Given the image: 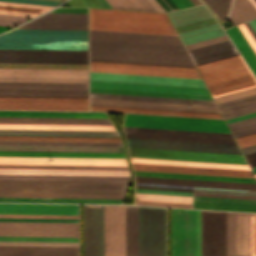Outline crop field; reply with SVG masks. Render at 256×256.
<instances>
[{
    "instance_id": "crop-field-1",
    "label": "crop field",
    "mask_w": 256,
    "mask_h": 256,
    "mask_svg": "<svg viewBox=\"0 0 256 256\" xmlns=\"http://www.w3.org/2000/svg\"><path fill=\"white\" fill-rule=\"evenodd\" d=\"M90 60L194 67L176 44L90 39Z\"/></svg>"
},
{
    "instance_id": "crop-field-2",
    "label": "crop field",
    "mask_w": 256,
    "mask_h": 256,
    "mask_svg": "<svg viewBox=\"0 0 256 256\" xmlns=\"http://www.w3.org/2000/svg\"><path fill=\"white\" fill-rule=\"evenodd\" d=\"M0 49L87 50V31L13 29L0 35Z\"/></svg>"
},
{
    "instance_id": "crop-field-3",
    "label": "crop field",
    "mask_w": 256,
    "mask_h": 256,
    "mask_svg": "<svg viewBox=\"0 0 256 256\" xmlns=\"http://www.w3.org/2000/svg\"><path fill=\"white\" fill-rule=\"evenodd\" d=\"M90 29L177 34L167 14L90 9Z\"/></svg>"
},
{
    "instance_id": "crop-field-4",
    "label": "crop field",
    "mask_w": 256,
    "mask_h": 256,
    "mask_svg": "<svg viewBox=\"0 0 256 256\" xmlns=\"http://www.w3.org/2000/svg\"><path fill=\"white\" fill-rule=\"evenodd\" d=\"M131 157L247 164L243 155L128 148ZM133 158L132 163L250 170L248 165Z\"/></svg>"
},
{
    "instance_id": "crop-field-5",
    "label": "crop field",
    "mask_w": 256,
    "mask_h": 256,
    "mask_svg": "<svg viewBox=\"0 0 256 256\" xmlns=\"http://www.w3.org/2000/svg\"><path fill=\"white\" fill-rule=\"evenodd\" d=\"M197 68L212 97L256 86L255 78L240 55L198 65Z\"/></svg>"
},
{
    "instance_id": "crop-field-6",
    "label": "crop field",
    "mask_w": 256,
    "mask_h": 256,
    "mask_svg": "<svg viewBox=\"0 0 256 256\" xmlns=\"http://www.w3.org/2000/svg\"><path fill=\"white\" fill-rule=\"evenodd\" d=\"M139 256H166L165 208L138 207Z\"/></svg>"
},
{
    "instance_id": "crop-field-7",
    "label": "crop field",
    "mask_w": 256,
    "mask_h": 256,
    "mask_svg": "<svg viewBox=\"0 0 256 256\" xmlns=\"http://www.w3.org/2000/svg\"><path fill=\"white\" fill-rule=\"evenodd\" d=\"M124 126L230 133L223 120L126 114Z\"/></svg>"
},
{
    "instance_id": "crop-field-8",
    "label": "crop field",
    "mask_w": 256,
    "mask_h": 256,
    "mask_svg": "<svg viewBox=\"0 0 256 256\" xmlns=\"http://www.w3.org/2000/svg\"><path fill=\"white\" fill-rule=\"evenodd\" d=\"M227 256H256V214L227 212Z\"/></svg>"
},
{
    "instance_id": "crop-field-9",
    "label": "crop field",
    "mask_w": 256,
    "mask_h": 256,
    "mask_svg": "<svg viewBox=\"0 0 256 256\" xmlns=\"http://www.w3.org/2000/svg\"><path fill=\"white\" fill-rule=\"evenodd\" d=\"M0 236L78 237V223L0 222Z\"/></svg>"
},
{
    "instance_id": "crop-field-10",
    "label": "crop field",
    "mask_w": 256,
    "mask_h": 256,
    "mask_svg": "<svg viewBox=\"0 0 256 256\" xmlns=\"http://www.w3.org/2000/svg\"><path fill=\"white\" fill-rule=\"evenodd\" d=\"M172 256H196L195 210L172 209Z\"/></svg>"
},
{
    "instance_id": "crop-field-11",
    "label": "crop field",
    "mask_w": 256,
    "mask_h": 256,
    "mask_svg": "<svg viewBox=\"0 0 256 256\" xmlns=\"http://www.w3.org/2000/svg\"><path fill=\"white\" fill-rule=\"evenodd\" d=\"M104 256H125V206L104 205Z\"/></svg>"
},
{
    "instance_id": "crop-field-12",
    "label": "crop field",
    "mask_w": 256,
    "mask_h": 256,
    "mask_svg": "<svg viewBox=\"0 0 256 256\" xmlns=\"http://www.w3.org/2000/svg\"><path fill=\"white\" fill-rule=\"evenodd\" d=\"M0 109L88 110V98L0 97Z\"/></svg>"
},
{
    "instance_id": "crop-field-13",
    "label": "crop field",
    "mask_w": 256,
    "mask_h": 256,
    "mask_svg": "<svg viewBox=\"0 0 256 256\" xmlns=\"http://www.w3.org/2000/svg\"><path fill=\"white\" fill-rule=\"evenodd\" d=\"M0 81L88 82V70L0 69Z\"/></svg>"
},
{
    "instance_id": "crop-field-14",
    "label": "crop field",
    "mask_w": 256,
    "mask_h": 256,
    "mask_svg": "<svg viewBox=\"0 0 256 256\" xmlns=\"http://www.w3.org/2000/svg\"><path fill=\"white\" fill-rule=\"evenodd\" d=\"M124 130L126 137L236 144L231 134L131 127Z\"/></svg>"
},
{
    "instance_id": "crop-field-15",
    "label": "crop field",
    "mask_w": 256,
    "mask_h": 256,
    "mask_svg": "<svg viewBox=\"0 0 256 256\" xmlns=\"http://www.w3.org/2000/svg\"><path fill=\"white\" fill-rule=\"evenodd\" d=\"M126 140H127L128 147H136V148L242 154L238 145L133 139V138H126Z\"/></svg>"
},
{
    "instance_id": "crop-field-16",
    "label": "crop field",
    "mask_w": 256,
    "mask_h": 256,
    "mask_svg": "<svg viewBox=\"0 0 256 256\" xmlns=\"http://www.w3.org/2000/svg\"><path fill=\"white\" fill-rule=\"evenodd\" d=\"M84 256H103V205H84Z\"/></svg>"
},
{
    "instance_id": "crop-field-17",
    "label": "crop field",
    "mask_w": 256,
    "mask_h": 256,
    "mask_svg": "<svg viewBox=\"0 0 256 256\" xmlns=\"http://www.w3.org/2000/svg\"><path fill=\"white\" fill-rule=\"evenodd\" d=\"M90 80L206 88L202 79L193 78L90 72Z\"/></svg>"
},
{
    "instance_id": "crop-field-18",
    "label": "crop field",
    "mask_w": 256,
    "mask_h": 256,
    "mask_svg": "<svg viewBox=\"0 0 256 256\" xmlns=\"http://www.w3.org/2000/svg\"><path fill=\"white\" fill-rule=\"evenodd\" d=\"M90 105L220 113L217 106H209V105H193V104H177V103H161V102H145V101H129V100H113V99H97V98H90ZM189 105L190 107H188Z\"/></svg>"
},
{
    "instance_id": "crop-field-19",
    "label": "crop field",
    "mask_w": 256,
    "mask_h": 256,
    "mask_svg": "<svg viewBox=\"0 0 256 256\" xmlns=\"http://www.w3.org/2000/svg\"><path fill=\"white\" fill-rule=\"evenodd\" d=\"M136 188L256 195V189H253V188L221 187V186L143 182V181H136Z\"/></svg>"
},
{
    "instance_id": "crop-field-20",
    "label": "crop field",
    "mask_w": 256,
    "mask_h": 256,
    "mask_svg": "<svg viewBox=\"0 0 256 256\" xmlns=\"http://www.w3.org/2000/svg\"><path fill=\"white\" fill-rule=\"evenodd\" d=\"M0 214L78 215V205L0 204Z\"/></svg>"
},
{
    "instance_id": "crop-field-21",
    "label": "crop field",
    "mask_w": 256,
    "mask_h": 256,
    "mask_svg": "<svg viewBox=\"0 0 256 256\" xmlns=\"http://www.w3.org/2000/svg\"><path fill=\"white\" fill-rule=\"evenodd\" d=\"M90 38L182 44L178 35L90 30Z\"/></svg>"
},
{
    "instance_id": "crop-field-22",
    "label": "crop field",
    "mask_w": 256,
    "mask_h": 256,
    "mask_svg": "<svg viewBox=\"0 0 256 256\" xmlns=\"http://www.w3.org/2000/svg\"><path fill=\"white\" fill-rule=\"evenodd\" d=\"M0 135L119 137V135L116 133V131H82V130H14V129H0Z\"/></svg>"
},
{
    "instance_id": "crop-field-23",
    "label": "crop field",
    "mask_w": 256,
    "mask_h": 256,
    "mask_svg": "<svg viewBox=\"0 0 256 256\" xmlns=\"http://www.w3.org/2000/svg\"><path fill=\"white\" fill-rule=\"evenodd\" d=\"M238 28L240 29V31L242 32V34L244 35V37L246 38L254 52L256 53V41L254 40V38L244 25V23L238 25ZM238 28L237 26H235L231 29H228L226 32L233 40L238 50L240 51V53L242 54V56L244 57V59L254 72V74L256 75V55Z\"/></svg>"
},
{
    "instance_id": "crop-field-24",
    "label": "crop field",
    "mask_w": 256,
    "mask_h": 256,
    "mask_svg": "<svg viewBox=\"0 0 256 256\" xmlns=\"http://www.w3.org/2000/svg\"><path fill=\"white\" fill-rule=\"evenodd\" d=\"M132 165H133L134 170H144V171H161V172H178V173H195V174L254 177L252 171H243V170L191 168V167H174V166H157V165H140V164H132Z\"/></svg>"
},
{
    "instance_id": "crop-field-25",
    "label": "crop field",
    "mask_w": 256,
    "mask_h": 256,
    "mask_svg": "<svg viewBox=\"0 0 256 256\" xmlns=\"http://www.w3.org/2000/svg\"><path fill=\"white\" fill-rule=\"evenodd\" d=\"M90 87L209 95L207 89L90 81Z\"/></svg>"
},
{
    "instance_id": "crop-field-26",
    "label": "crop field",
    "mask_w": 256,
    "mask_h": 256,
    "mask_svg": "<svg viewBox=\"0 0 256 256\" xmlns=\"http://www.w3.org/2000/svg\"><path fill=\"white\" fill-rule=\"evenodd\" d=\"M189 53L195 65L239 54L231 40L189 50Z\"/></svg>"
},
{
    "instance_id": "crop-field-27",
    "label": "crop field",
    "mask_w": 256,
    "mask_h": 256,
    "mask_svg": "<svg viewBox=\"0 0 256 256\" xmlns=\"http://www.w3.org/2000/svg\"><path fill=\"white\" fill-rule=\"evenodd\" d=\"M0 57L88 59L87 51L0 50Z\"/></svg>"
},
{
    "instance_id": "crop-field-28",
    "label": "crop field",
    "mask_w": 256,
    "mask_h": 256,
    "mask_svg": "<svg viewBox=\"0 0 256 256\" xmlns=\"http://www.w3.org/2000/svg\"><path fill=\"white\" fill-rule=\"evenodd\" d=\"M0 150L123 152L122 147L51 146V145H4V144H0Z\"/></svg>"
},
{
    "instance_id": "crop-field-29",
    "label": "crop field",
    "mask_w": 256,
    "mask_h": 256,
    "mask_svg": "<svg viewBox=\"0 0 256 256\" xmlns=\"http://www.w3.org/2000/svg\"><path fill=\"white\" fill-rule=\"evenodd\" d=\"M0 179H6V180H56V181H105V182H129L130 181L129 177L6 175V174H0Z\"/></svg>"
},
{
    "instance_id": "crop-field-30",
    "label": "crop field",
    "mask_w": 256,
    "mask_h": 256,
    "mask_svg": "<svg viewBox=\"0 0 256 256\" xmlns=\"http://www.w3.org/2000/svg\"><path fill=\"white\" fill-rule=\"evenodd\" d=\"M0 173L129 176L128 171H104V170H55V169H6V168H0Z\"/></svg>"
},
{
    "instance_id": "crop-field-31",
    "label": "crop field",
    "mask_w": 256,
    "mask_h": 256,
    "mask_svg": "<svg viewBox=\"0 0 256 256\" xmlns=\"http://www.w3.org/2000/svg\"><path fill=\"white\" fill-rule=\"evenodd\" d=\"M0 96L88 97V90L0 89Z\"/></svg>"
},
{
    "instance_id": "crop-field-32",
    "label": "crop field",
    "mask_w": 256,
    "mask_h": 256,
    "mask_svg": "<svg viewBox=\"0 0 256 256\" xmlns=\"http://www.w3.org/2000/svg\"><path fill=\"white\" fill-rule=\"evenodd\" d=\"M174 27L212 18L204 5H198L179 11L168 13Z\"/></svg>"
},
{
    "instance_id": "crop-field-33",
    "label": "crop field",
    "mask_w": 256,
    "mask_h": 256,
    "mask_svg": "<svg viewBox=\"0 0 256 256\" xmlns=\"http://www.w3.org/2000/svg\"><path fill=\"white\" fill-rule=\"evenodd\" d=\"M126 256H138L137 207L126 206Z\"/></svg>"
},
{
    "instance_id": "crop-field-34",
    "label": "crop field",
    "mask_w": 256,
    "mask_h": 256,
    "mask_svg": "<svg viewBox=\"0 0 256 256\" xmlns=\"http://www.w3.org/2000/svg\"><path fill=\"white\" fill-rule=\"evenodd\" d=\"M0 155H6V156H54V157L125 158L123 153H88V152H17V151H0Z\"/></svg>"
},
{
    "instance_id": "crop-field-35",
    "label": "crop field",
    "mask_w": 256,
    "mask_h": 256,
    "mask_svg": "<svg viewBox=\"0 0 256 256\" xmlns=\"http://www.w3.org/2000/svg\"><path fill=\"white\" fill-rule=\"evenodd\" d=\"M223 118L256 110V94L217 105Z\"/></svg>"
},
{
    "instance_id": "crop-field-36",
    "label": "crop field",
    "mask_w": 256,
    "mask_h": 256,
    "mask_svg": "<svg viewBox=\"0 0 256 256\" xmlns=\"http://www.w3.org/2000/svg\"><path fill=\"white\" fill-rule=\"evenodd\" d=\"M54 7L0 2V14L36 17Z\"/></svg>"
},
{
    "instance_id": "crop-field-37",
    "label": "crop field",
    "mask_w": 256,
    "mask_h": 256,
    "mask_svg": "<svg viewBox=\"0 0 256 256\" xmlns=\"http://www.w3.org/2000/svg\"><path fill=\"white\" fill-rule=\"evenodd\" d=\"M90 71L201 78L199 73L113 68V67L90 66Z\"/></svg>"
},
{
    "instance_id": "crop-field-38",
    "label": "crop field",
    "mask_w": 256,
    "mask_h": 256,
    "mask_svg": "<svg viewBox=\"0 0 256 256\" xmlns=\"http://www.w3.org/2000/svg\"><path fill=\"white\" fill-rule=\"evenodd\" d=\"M221 35H225V32L218 23L179 33L184 45Z\"/></svg>"
},
{
    "instance_id": "crop-field-39",
    "label": "crop field",
    "mask_w": 256,
    "mask_h": 256,
    "mask_svg": "<svg viewBox=\"0 0 256 256\" xmlns=\"http://www.w3.org/2000/svg\"><path fill=\"white\" fill-rule=\"evenodd\" d=\"M134 173H135V175H144V176H159V177H174V178H189V179H203V180H218V181L256 183L255 178H245V177H228V176H211V175H194V174H177V173H160V172H142V171H134Z\"/></svg>"
},
{
    "instance_id": "crop-field-40",
    "label": "crop field",
    "mask_w": 256,
    "mask_h": 256,
    "mask_svg": "<svg viewBox=\"0 0 256 256\" xmlns=\"http://www.w3.org/2000/svg\"><path fill=\"white\" fill-rule=\"evenodd\" d=\"M0 163L6 164H55V165H103V166H127L125 162L107 161H70V160H15L0 159Z\"/></svg>"
},
{
    "instance_id": "crop-field-41",
    "label": "crop field",
    "mask_w": 256,
    "mask_h": 256,
    "mask_svg": "<svg viewBox=\"0 0 256 256\" xmlns=\"http://www.w3.org/2000/svg\"><path fill=\"white\" fill-rule=\"evenodd\" d=\"M0 116L107 118L105 113H73V112H11V111H0Z\"/></svg>"
},
{
    "instance_id": "crop-field-42",
    "label": "crop field",
    "mask_w": 256,
    "mask_h": 256,
    "mask_svg": "<svg viewBox=\"0 0 256 256\" xmlns=\"http://www.w3.org/2000/svg\"><path fill=\"white\" fill-rule=\"evenodd\" d=\"M90 110L222 118L221 114L90 106Z\"/></svg>"
},
{
    "instance_id": "crop-field-43",
    "label": "crop field",
    "mask_w": 256,
    "mask_h": 256,
    "mask_svg": "<svg viewBox=\"0 0 256 256\" xmlns=\"http://www.w3.org/2000/svg\"><path fill=\"white\" fill-rule=\"evenodd\" d=\"M0 201H16V202H86V203H121L122 199H87V198H17V197H0Z\"/></svg>"
},
{
    "instance_id": "crop-field-44",
    "label": "crop field",
    "mask_w": 256,
    "mask_h": 256,
    "mask_svg": "<svg viewBox=\"0 0 256 256\" xmlns=\"http://www.w3.org/2000/svg\"><path fill=\"white\" fill-rule=\"evenodd\" d=\"M256 17V10L248 0H234L229 21L233 26Z\"/></svg>"
},
{
    "instance_id": "crop-field-45",
    "label": "crop field",
    "mask_w": 256,
    "mask_h": 256,
    "mask_svg": "<svg viewBox=\"0 0 256 256\" xmlns=\"http://www.w3.org/2000/svg\"><path fill=\"white\" fill-rule=\"evenodd\" d=\"M30 22L87 24V14L46 13Z\"/></svg>"
},
{
    "instance_id": "crop-field-46",
    "label": "crop field",
    "mask_w": 256,
    "mask_h": 256,
    "mask_svg": "<svg viewBox=\"0 0 256 256\" xmlns=\"http://www.w3.org/2000/svg\"><path fill=\"white\" fill-rule=\"evenodd\" d=\"M90 92L212 100L211 96L90 88Z\"/></svg>"
},
{
    "instance_id": "crop-field-47",
    "label": "crop field",
    "mask_w": 256,
    "mask_h": 256,
    "mask_svg": "<svg viewBox=\"0 0 256 256\" xmlns=\"http://www.w3.org/2000/svg\"><path fill=\"white\" fill-rule=\"evenodd\" d=\"M0 128L114 130L113 126H79V125H13V124H0Z\"/></svg>"
},
{
    "instance_id": "crop-field-48",
    "label": "crop field",
    "mask_w": 256,
    "mask_h": 256,
    "mask_svg": "<svg viewBox=\"0 0 256 256\" xmlns=\"http://www.w3.org/2000/svg\"><path fill=\"white\" fill-rule=\"evenodd\" d=\"M4 140H51V141H98V142H121L120 138H85V137H15L0 136Z\"/></svg>"
},
{
    "instance_id": "crop-field-49",
    "label": "crop field",
    "mask_w": 256,
    "mask_h": 256,
    "mask_svg": "<svg viewBox=\"0 0 256 256\" xmlns=\"http://www.w3.org/2000/svg\"><path fill=\"white\" fill-rule=\"evenodd\" d=\"M194 208L256 212V205L194 201Z\"/></svg>"
},
{
    "instance_id": "crop-field-50",
    "label": "crop field",
    "mask_w": 256,
    "mask_h": 256,
    "mask_svg": "<svg viewBox=\"0 0 256 256\" xmlns=\"http://www.w3.org/2000/svg\"><path fill=\"white\" fill-rule=\"evenodd\" d=\"M90 65L197 72L196 68L90 61Z\"/></svg>"
},
{
    "instance_id": "crop-field-51",
    "label": "crop field",
    "mask_w": 256,
    "mask_h": 256,
    "mask_svg": "<svg viewBox=\"0 0 256 256\" xmlns=\"http://www.w3.org/2000/svg\"><path fill=\"white\" fill-rule=\"evenodd\" d=\"M6 168H55V169H104V170H128L127 167H103V166H54V165H6Z\"/></svg>"
},
{
    "instance_id": "crop-field-52",
    "label": "crop field",
    "mask_w": 256,
    "mask_h": 256,
    "mask_svg": "<svg viewBox=\"0 0 256 256\" xmlns=\"http://www.w3.org/2000/svg\"><path fill=\"white\" fill-rule=\"evenodd\" d=\"M233 135L240 136L252 134L256 132V117L229 123L228 124Z\"/></svg>"
},
{
    "instance_id": "crop-field-53",
    "label": "crop field",
    "mask_w": 256,
    "mask_h": 256,
    "mask_svg": "<svg viewBox=\"0 0 256 256\" xmlns=\"http://www.w3.org/2000/svg\"><path fill=\"white\" fill-rule=\"evenodd\" d=\"M136 200L192 203L191 197L136 193Z\"/></svg>"
},
{
    "instance_id": "crop-field-54",
    "label": "crop field",
    "mask_w": 256,
    "mask_h": 256,
    "mask_svg": "<svg viewBox=\"0 0 256 256\" xmlns=\"http://www.w3.org/2000/svg\"><path fill=\"white\" fill-rule=\"evenodd\" d=\"M0 62L88 64V60L0 58Z\"/></svg>"
},
{
    "instance_id": "crop-field-55",
    "label": "crop field",
    "mask_w": 256,
    "mask_h": 256,
    "mask_svg": "<svg viewBox=\"0 0 256 256\" xmlns=\"http://www.w3.org/2000/svg\"><path fill=\"white\" fill-rule=\"evenodd\" d=\"M108 3L113 8H123V9H137V10H153L155 11L152 6L146 1V0H140L142 4L147 8H145L139 0H135L138 5L142 8H140L134 0H107Z\"/></svg>"
},
{
    "instance_id": "crop-field-56",
    "label": "crop field",
    "mask_w": 256,
    "mask_h": 256,
    "mask_svg": "<svg viewBox=\"0 0 256 256\" xmlns=\"http://www.w3.org/2000/svg\"><path fill=\"white\" fill-rule=\"evenodd\" d=\"M17 28L87 30V25L25 23Z\"/></svg>"
},
{
    "instance_id": "crop-field-57",
    "label": "crop field",
    "mask_w": 256,
    "mask_h": 256,
    "mask_svg": "<svg viewBox=\"0 0 256 256\" xmlns=\"http://www.w3.org/2000/svg\"><path fill=\"white\" fill-rule=\"evenodd\" d=\"M205 1L219 15V17L223 21H225L228 15L232 0H205Z\"/></svg>"
},
{
    "instance_id": "crop-field-58",
    "label": "crop field",
    "mask_w": 256,
    "mask_h": 256,
    "mask_svg": "<svg viewBox=\"0 0 256 256\" xmlns=\"http://www.w3.org/2000/svg\"><path fill=\"white\" fill-rule=\"evenodd\" d=\"M0 241L78 242V238L0 237Z\"/></svg>"
},
{
    "instance_id": "crop-field-59",
    "label": "crop field",
    "mask_w": 256,
    "mask_h": 256,
    "mask_svg": "<svg viewBox=\"0 0 256 256\" xmlns=\"http://www.w3.org/2000/svg\"><path fill=\"white\" fill-rule=\"evenodd\" d=\"M31 18L29 17H19V16H8V15H0V25L1 26H10L15 27L18 24L27 21Z\"/></svg>"
},
{
    "instance_id": "crop-field-60",
    "label": "crop field",
    "mask_w": 256,
    "mask_h": 256,
    "mask_svg": "<svg viewBox=\"0 0 256 256\" xmlns=\"http://www.w3.org/2000/svg\"><path fill=\"white\" fill-rule=\"evenodd\" d=\"M194 200L256 204V200L194 196Z\"/></svg>"
},
{
    "instance_id": "crop-field-61",
    "label": "crop field",
    "mask_w": 256,
    "mask_h": 256,
    "mask_svg": "<svg viewBox=\"0 0 256 256\" xmlns=\"http://www.w3.org/2000/svg\"><path fill=\"white\" fill-rule=\"evenodd\" d=\"M0 221H47V222H78V219H47V218H0Z\"/></svg>"
},
{
    "instance_id": "crop-field-62",
    "label": "crop field",
    "mask_w": 256,
    "mask_h": 256,
    "mask_svg": "<svg viewBox=\"0 0 256 256\" xmlns=\"http://www.w3.org/2000/svg\"><path fill=\"white\" fill-rule=\"evenodd\" d=\"M0 245H47V246H78V243H47V242H0Z\"/></svg>"
},
{
    "instance_id": "crop-field-63",
    "label": "crop field",
    "mask_w": 256,
    "mask_h": 256,
    "mask_svg": "<svg viewBox=\"0 0 256 256\" xmlns=\"http://www.w3.org/2000/svg\"><path fill=\"white\" fill-rule=\"evenodd\" d=\"M0 158H16V159H70V160H107V161H125V159H101V158H53V157H5Z\"/></svg>"
},
{
    "instance_id": "crop-field-64",
    "label": "crop field",
    "mask_w": 256,
    "mask_h": 256,
    "mask_svg": "<svg viewBox=\"0 0 256 256\" xmlns=\"http://www.w3.org/2000/svg\"><path fill=\"white\" fill-rule=\"evenodd\" d=\"M225 40H229L227 35L209 39V40L202 41V42H198V43H194V44H190V45H186V48H187V50H189V49H193V48H197V47H201V46H205V45H209V44H213V43H217V42H221V41H225Z\"/></svg>"
},
{
    "instance_id": "crop-field-65",
    "label": "crop field",
    "mask_w": 256,
    "mask_h": 256,
    "mask_svg": "<svg viewBox=\"0 0 256 256\" xmlns=\"http://www.w3.org/2000/svg\"><path fill=\"white\" fill-rule=\"evenodd\" d=\"M0 1L31 3V4H41V5H51V6H58L60 3H62L58 1H48V0H0Z\"/></svg>"
},
{
    "instance_id": "crop-field-66",
    "label": "crop field",
    "mask_w": 256,
    "mask_h": 256,
    "mask_svg": "<svg viewBox=\"0 0 256 256\" xmlns=\"http://www.w3.org/2000/svg\"><path fill=\"white\" fill-rule=\"evenodd\" d=\"M236 141L239 144L240 148L256 144V134L236 138Z\"/></svg>"
},
{
    "instance_id": "crop-field-67",
    "label": "crop field",
    "mask_w": 256,
    "mask_h": 256,
    "mask_svg": "<svg viewBox=\"0 0 256 256\" xmlns=\"http://www.w3.org/2000/svg\"><path fill=\"white\" fill-rule=\"evenodd\" d=\"M136 192L192 196V192H176V191H160V190H144V189H136Z\"/></svg>"
},
{
    "instance_id": "crop-field-68",
    "label": "crop field",
    "mask_w": 256,
    "mask_h": 256,
    "mask_svg": "<svg viewBox=\"0 0 256 256\" xmlns=\"http://www.w3.org/2000/svg\"><path fill=\"white\" fill-rule=\"evenodd\" d=\"M0 217L78 218V216H54V215H0Z\"/></svg>"
},
{
    "instance_id": "crop-field-69",
    "label": "crop field",
    "mask_w": 256,
    "mask_h": 256,
    "mask_svg": "<svg viewBox=\"0 0 256 256\" xmlns=\"http://www.w3.org/2000/svg\"><path fill=\"white\" fill-rule=\"evenodd\" d=\"M157 1L168 12L179 9L172 0H157Z\"/></svg>"
},
{
    "instance_id": "crop-field-70",
    "label": "crop field",
    "mask_w": 256,
    "mask_h": 256,
    "mask_svg": "<svg viewBox=\"0 0 256 256\" xmlns=\"http://www.w3.org/2000/svg\"><path fill=\"white\" fill-rule=\"evenodd\" d=\"M245 158L249 163L250 167L256 166V153L245 155Z\"/></svg>"
},
{
    "instance_id": "crop-field-71",
    "label": "crop field",
    "mask_w": 256,
    "mask_h": 256,
    "mask_svg": "<svg viewBox=\"0 0 256 256\" xmlns=\"http://www.w3.org/2000/svg\"><path fill=\"white\" fill-rule=\"evenodd\" d=\"M256 116V112L255 113H251V114H247V115H243V116H239V117H235V118H231V119H227L226 122H233V121H237V120H241V119H245V118H249V117H253Z\"/></svg>"
},
{
    "instance_id": "crop-field-72",
    "label": "crop field",
    "mask_w": 256,
    "mask_h": 256,
    "mask_svg": "<svg viewBox=\"0 0 256 256\" xmlns=\"http://www.w3.org/2000/svg\"><path fill=\"white\" fill-rule=\"evenodd\" d=\"M241 150H242L244 155L249 154V153H253V152H256V145L246 147V148H242Z\"/></svg>"
},
{
    "instance_id": "crop-field-73",
    "label": "crop field",
    "mask_w": 256,
    "mask_h": 256,
    "mask_svg": "<svg viewBox=\"0 0 256 256\" xmlns=\"http://www.w3.org/2000/svg\"><path fill=\"white\" fill-rule=\"evenodd\" d=\"M152 6L153 8L156 10V11H162V12H165L161 6L155 1V0H147Z\"/></svg>"
},
{
    "instance_id": "crop-field-74",
    "label": "crop field",
    "mask_w": 256,
    "mask_h": 256,
    "mask_svg": "<svg viewBox=\"0 0 256 256\" xmlns=\"http://www.w3.org/2000/svg\"><path fill=\"white\" fill-rule=\"evenodd\" d=\"M249 24L251 25V27L256 33V19L249 21Z\"/></svg>"
},
{
    "instance_id": "crop-field-75",
    "label": "crop field",
    "mask_w": 256,
    "mask_h": 256,
    "mask_svg": "<svg viewBox=\"0 0 256 256\" xmlns=\"http://www.w3.org/2000/svg\"><path fill=\"white\" fill-rule=\"evenodd\" d=\"M245 25L247 26V28L249 29V31L251 32V34L253 35V37L256 40V34L254 33V31L252 30V28L250 27V25L248 24V22H245Z\"/></svg>"
},
{
    "instance_id": "crop-field-76",
    "label": "crop field",
    "mask_w": 256,
    "mask_h": 256,
    "mask_svg": "<svg viewBox=\"0 0 256 256\" xmlns=\"http://www.w3.org/2000/svg\"><path fill=\"white\" fill-rule=\"evenodd\" d=\"M186 7L193 6L190 0H181Z\"/></svg>"
},
{
    "instance_id": "crop-field-77",
    "label": "crop field",
    "mask_w": 256,
    "mask_h": 256,
    "mask_svg": "<svg viewBox=\"0 0 256 256\" xmlns=\"http://www.w3.org/2000/svg\"><path fill=\"white\" fill-rule=\"evenodd\" d=\"M173 1L177 4V6H178L180 9L185 8V6L181 3L180 0H173Z\"/></svg>"
},
{
    "instance_id": "crop-field-78",
    "label": "crop field",
    "mask_w": 256,
    "mask_h": 256,
    "mask_svg": "<svg viewBox=\"0 0 256 256\" xmlns=\"http://www.w3.org/2000/svg\"><path fill=\"white\" fill-rule=\"evenodd\" d=\"M8 29H11V28H10V27H1V26H0V32L6 31V30H8Z\"/></svg>"
},
{
    "instance_id": "crop-field-79",
    "label": "crop field",
    "mask_w": 256,
    "mask_h": 256,
    "mask_svg": "<svg viewBox=\"0 0 256 256\" xmlns=\"http://www.w3.org/2000/svg\"><path fill=\"white\" fill-rule=\"evenodd\" d=\"M191 2H192L194 5L201 3L199 0H191Z\"/></svg>"
},
{
    "instance_id": "crop-field-80",
    "label": "crop field",
    "mask_w": 256,
    "mask_h": 256,
    "mask_svg": "<svg viewBox=\"0 0 256 256\" xmlns=\"http://www.w3.org/2000/svg\"><path fill=\"white\" fill-rule=\"evenodd\" d=\"M251 2V4L255 7L256 9V2L254 0H249Z\"/></svg>"
},
{
    "instance_id": "crop-field-81",
    "label": "crop field",
    "mask_w": 256,
    "mask_h": 256,
    "mask_svg": "<svg viewBox=\"0 0 256 256\" xmlns=\"http://www.w3.org/2000/svg\"><path fill=\"white\" fill-rule=\"evenodd\" d=\"M254 174H256V167H252Z\"/></svg>"
},
{
    "instance_id": "crop-field-82",
    "label": "crop field",
    "mask_w": 256,
    "mask_h": 256,
    "mask_svg": "<svg viewBox=\"0 0 256 256\" xmlns=\"http://www.w3.org/2000/svg\"><path fill=\"white\" fill-rule=\"evenodd\" d=\"M256 1V0H255Z\"/></svg>"
},
{
    "instance_id": "crop-field-83",
    "label": "crop field",
    "mask_w": 256,
    "mask_h": 256,
    "mask_svg": "<svg viewBox=\"0 0 256 256\" xmlns=\"http://www.w3.org/2000/svg\"><path fill=\"white\" fill-rule=\"evenodd\" d=\"M256 176V175H255Z\"/></svg>"
}]
</instances>
